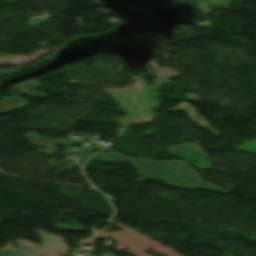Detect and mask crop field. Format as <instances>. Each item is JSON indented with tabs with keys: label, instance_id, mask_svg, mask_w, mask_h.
Masks as SVG:
<instances>
[{
	"label": "crop field",
	"instance_id": "3",
	"mask_svg": "<svg viewBox=\"0 0 256 256\" xmlns=\"http://www.w3.org/2000/svg\"><path fill=\"white\" fill-rule=\"evenodd\" d=\"M177 108H182L183 110H176V111H184L193 121H195L201 127L206 129L207 131H209L211 134H213L215 136L221 135L213 127H211L203 117L196 114L194 109L188 104V102L178 103L177 107L168 109L166 111H173V109H177ZM204 121H205V123L203 124Z\"/></svg>",
	"mask_w": 256,
	"mask_h": 256
},
{
	"label": "crop field",
	"instance_id": "4",
	"mask_svg": "<svg viewBox=\"0 0 256 256\" xmlns=\"http://www.w3.org/2000/svg\"><path fill=\"white\" fill-rule=\"evenodd\" d=\"M170 168H172L181 178H183L184 180L188 181V182H192V183H196V184H200V185H204V186H209V187H213L207 184H204L202 182H200L195 174L193 172H191L185 165H183L180 161H175L173 163H171L170 165H168ZM216 188V187H214Z\"/></svg>",
	"mask_w": 256,
	"mask_h": 256
},
{
	"label": "crop field",
	"instance_id": "5",
	"mask_svg": "<svg viewBox=\"0 0 256 256\" xmlns=\"http://www.w3.org/2000/svg\"><path fill=\"white\" fill-rule=\"evenodd\" d=\"M44 251L48 250L40 247H35L32 249L27 247H15L11 250L0 251V256H48L41 254V252Z\"/></svg>",
	"mask_w": 256,
	"mask_h": 256
},
{
	"label": "crop field",
	"instance_id": "9",
	"mask_svg": "<svg viewBox=\"0 0 256 256\" xmlns=\"http://www.w3.org/2000/svg\"><path fill=\"white\" fill-rule=\"evenodd\" d=\"M103 256H113L112 254H104Z\"/></svg>",
	"mask_w": 256,
	"mask_h": 256
},
{
	"label": "crop field",
	"instance_id": "1",
	"mask_svg": "<svg viewBox=\"0 0 256 256\" xmlns=\"http://www.w3.org/2000/svg\"><path fill=\"white\" fill-rule=\"evenodd\" d=\"M117 156L116 159L113 158ZM105 162H113V163H121L123 161H130L133 168L138 171L134 172L135 174L141 176L142 178L136 180L139 182H145L151 178L162 181L170 186L185 188V189H193V188H206L211 189L212 191L227 193V191L204 187L192 183L185 182L182 180L172 169H170L167 165L170 163L147 160V159H131V158H123L113 152L110 155L103 159Z\"/></svg>",
	"mask_w": 256,
	"mask_h": 256
},
{
	"label": "crop field",
	"instance_id": "2",
	"mask_svg": "<svg viewBox=\"0 0 256 256\" xmlns=\"http://www.w3.org/2000/svg\"><path fill=\"white\" fill-rule=\"evenodd\" d=\"M25 137L28 140V142L34 143L35 146L46 147L45 151L37 150V153L45 152L47 156L55 152L54 151L55 144H63L65 142L63 140H46L44 137H39L35 134H26ZM74 143H76V142H71L69 144H66V146H71ZM43 144H45V146H43ZM77 144H79V143H77Z\"/></svg>",
	"mask_w": 256,
	"mask_h": 256
},
{
	"label": "crop field",
	"instance_id": "8",
	"mask_svg": "<svg viewBox=\"0 0 256 256\" xmlns=\"http://www.w3.org/2000/svg\"><path fill=\"white\" fill-rule=\"evenodd\" d=\"M97 147H101V146H99V145H97V144H95V145H92V146H87V148H89V149H92V148H97ZM103 148V147H102Z\"/></svg>",
	"mask_w": 256,
	"mask_h": 256
},
{
	"label": "crop field",
	"instance_id": "7",
	"mask_svg": "<svg viewBox=\"0 0 256 256\" xmlns=\"http://www.w3.org/2000/svg\"><path fill=\"white\" fill-rule=\"evenodd\" d=\"M206 1L209 2L211 5H213L214 7H228L226 6V3L229 2V0H206ZM242 1H253V0H242Z\"/></svg>",
	"mask_w": 256,
	"mask_h": 256
},
{
	"label": "crop field",
	"instance_id": "6",
	"mask_svg": "<svg viewBox=\"0 0 256 256\" xmlns=\"http://www.w3.org/2000/svg\"><path fill=\"white\" fill-rule=\"evenodd\" d=\"M47 249H53L59 253H66L67 247L65 243L55 237V235L38 232Z\"/></svg>",
	"mask_w": 256,
	"mask_h": 256
}]
</instances>
